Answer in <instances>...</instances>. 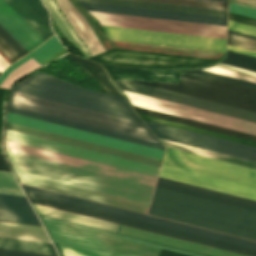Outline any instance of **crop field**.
Wrapping results in <instances>:
<instances>
[{
    "mask_svg": "<svg viewBox=\"0 0 256 256\" xmlns=\"http://www.w3.org/2000/svg\"><path fill=\"white\" fill-rule=\"evenodd\" d=\"M149 214L256 240V212L157 187Z\"/></svg>",
    "mask_w": 256,
    "mask_h": 256,
    "instance_id": "obj_1",
    "label": "crop field"
},
{
    "mask_svg": "<svg viewBox=\"0 0 256 256\" xmlns=\"http://www.w3.org/2000/svg\"><path fill=\"white\" fill-rule=\"evenodd\" d=\"M159 176L256 200L255 169L171 148Z\"/></svg>",
    "mask_w": 256,
    "mask_h": 256,
    "instance_id": "obj_2",
    "label": "crop field"
},
{
    "mask_svg": "<svg viewBox=\"0 0 256 256\" xmlns=\"http://www.w3.org/2000/svg\"><path fill=\"white\" fill-rule=\"evenodd\" d=\"M15 171L150 203L152 186L6 150Z\"/></svg>",
    "mask_w": 256,
    "mask_h": 256,
    "instance_id": "obj_3",
    "label": "crop field"
},
{
    "mask_svg": "<svg viewBox=\"0 0 256 256\" xmlns=\"http://www.w3.org/2000/svg\"><path fill=\"white\" fill-rule=\"evenodd\" d=\"M39 217L51 241L61 242L113 256H156L163 248L194 256H204L40 215ZM157 256L189 255L163 249Z\"/></svg>",
    "mask_w": 256,
    "mask_h": 256,
    "instance_id": "obj_4",
    "label": "crop field"
},
{
    "mask_svg": "<svg viewBox=\"0 0 256 256\" xmlns=\"http://www.w3.org/2000/svg\"><path fill=\"white\" fill-rule=\"evenodd\" d=\"M14 90L140 121L127 98L82 88L41 72Z\"/></svg>",
    "mask_w": 256,
    "mask_h": 256,
    "instance_id": "obj_5",
    "label": "crop field"
},
{
    "mask_svg": "<svg viewBox=\"0 0 256 256\" xmlns=\"http://www.w3.org/2000/svg\"><path fill=\"white\" fill-rule=\"evenodd\" d=\"M8 105L158 142L143 123L12 91ZM159 143V142H158Z\"/></svg>",
    "mask_w": 256,
    "mask_h": 256,
    "instance_id": "obj_6",
    "label": "crop field"
},
{
    "mask_svg": "<svg viewBox=\"0 0 256 256\" xmlns=\"http://www.w3.org/2000/svg\"><path fill=\"white\" fill-rule=\"evenodd\" d=\"M176 71L189 73L181 70ZM202 77L204 78L182 74L179 85L148 81L135 82L256 111V89L205 76Z\"/></svg>",
    "mask_w": 256,
    "mask_h": 256,
    "instance_id": "obj_7",
    "label": "crop field"
},
{
    "mask_svg": "<svg viewBox=\"0 0 256 256\" xmlns=\"http://www.w3.org/2000/svg\"><path fill=\"white\" fill-rule=\"evenodd\" d=\"M25 193H27V192H25ZM28 194H31V193H28ZM28 194H27V196H28L30 202H35V203H39V204H43V205H47V206H51V207H55V208H59V209L79 213V214H83V215H87V216H91V217H95V218H99V219H103V220H107V221H111V222L131 226V227H135V228H139V229H143V230H147V231H151V232H155V233H159V234H163V235H167V236H171V237H175V238H179V239H183V240H187V241H191V242H195V243H199V244H203V245H207V246H211V247H216V248H220V249H224V250H228V251H232V252H236V253H240V254H244V255H248V256H256V251H255L256 248H252V247H248V246H244V245H239V244H235V243H231V242H227V241H223V240H219V239H215V238H211V237H207V236H203V235H199V234H194V233H190V232H186V231H182V230H178V229H174V228L154 224V225H158V226H162V227H166V228H170V229H174V230H178V231H182V232H186V233H190V234H194V235H198V236H202V237H206V238H210V239H214V240H219V241H223V242H227V243H231V244H235V245L255 249V250H251V249H247V248H243V247H239V246H235V245H231V244H227V243H223V242H219V241H214V240H210V239H206V238H202V237H198V236H194V235H190V234H186V233H182V232H178V231H174V230H170V229H166V228H162V227H158V226L149 225V224H153V223H149V222H145V221H141V220H137V219H133V218H129V217L109 213V214L129 218V219L149 223V224H145V223H141V222H137V221H133V220H129V219H125V218L105 214V213H108V212L101 213V212H104V211H101V212H97V211H100V210L93 211V210H96V209L88 210V209H92V208H88V207L68 203V204L88 208V209H84V208L64 204V203H67V202L60 203V202H63V201L56 202V201H59V200L52 201V200H55V199L48 200V199H51V198L44 199V198H47V197L40 198V197H43V196L36 197V196H39V195L32 196V195H35V194H32V195H28Z\"/></svg>",
    "mask_w": 256,
    "mask_h": 256,
    "instance_id": "obj_8",
    "label": "crop field"
},
{
    "mask_svg": "<svg viewBox=\"0 0 256 256\" xmlns=\"http://www.w3.org/2000/svg\"><path fill=\"white\" fill-rule=\"evenodd\" d=\"M111 40L225 53L226 39L102 25Z\"/></svg>",
    "mask_w": 256,
    "mask_h": 256,
    "instance_id": "obj_9",
    "label": "crop field"
},
{
    "mask_svg": "<svg viewBox=\"0 0 256 256\" xmlns=\"http://www.w3.org/2000/svg\"><path fill=\"white\" fill-rule=\"evenodd\" d=\"M34 205L38 213L40 214L76 222V223H80V224H84V225H88V226H92V227H96V228H100L108 231H112V228H113L114 233H116L117 231L119 233L131 235V236H135V237H139V238H143V239H147V240H151V241H155V242H159V243H163V244H167V245H171V246H175V247H179L187 250H192V251H196V252H200V253H204L212 256H243V255H239V254H235V253H231V252H227V251H223V250H219V249H215V248H211V247H207V246H203V245H199V244H195V243H191V242H187V241H183V240H179V239H175V238H171V237H167V236H163L155 233H150V232H146V231H142V230H138V229L113 223L116 229L115 231L113 224L111 223V226H112L111 228L110 223L106 221L89 218V217H85V216H81V215H77V214H73V213H69V212H65V211H61V210H57V209H53V208H49V207H45L37 204H34Z\"/></svg>",
    "mask_w": 256,
    "mask_h": 256,
    "instance_id": "obj_10",
    "label": "crop field"
},
{
    "mask_svg": "<svg viewBox=\"0 0 256 256\" xmlns=\"http://www.w3.org/2000/svg\"><path fill=\"white\" fill-rule=\"evenodd\" d=\"M88 59L113 65L153 68L198 67L215 61L213 59L128 50L120 48H114L108 52L95 55Z\"/></svg>",
    "mask_w": 256,
    "mask_h": 256,
    "instance_id": "obj_11",
    "label": "crop field"
},
{
    "mask_svg": "<svg viewBox=\"0 0 256 256\" xmlns=\"http://www.w3.org/2000/svg\"><path fill=\"white\" fill-rule=\"evenodd\" d=\"M144 122L149 126V128L154 132L157 137L256 161V147L148 120H144Z\"/></svg>",
    "mask_w": 256,
    "mask_h": 256,
    "instance_id": "obj_12",
    "label": "crop field"
},
{
    "mask_svg": "<svg viewBox=\"0 0 256 256\" xmlns=\"http://www.w3.org/2000/svg\"><path fill=\"white\" fill-rule=\"evenodd\" d=\"M124 91V90H123ZM131 104L256 135V123L236 119L128 91Z\"/></svg>",
    "mask_w": 256,
    "mask_h": 256,
    "instance_id": "obj_13",
    "label": "crop field"
},
{
    "mask_svg": "<svg viewBox=\"0 0 256 256\" xmlns=\"http://www.w3.org/2000/svg\"><path fill=\"white\" fill-rule=\"evenodd\" d=\"M101 24L226 38V27L90 11Z\"/></svg>",
    "mask_w": 256,
    "mask_h": 256,
    "instance_id": "obj_14",
    "label": "crop field"
},
{
    "mask_svg": "<svg viewBox=\"0 0 256 256\" xmlns=\"http://www.w3.org/2000/svg\"><path fill=\"white\" fill-rule=\"evenodd\" d=\"M5 139L155 176L159 168L6 130Z\"/></svg>",
    "mask_w": 256,
    "mask_h": 256,
    "instance_id": "obj_15",
    "label": "crop field"
},
{
    "mask_svg": "<svg viewBox=\"0 0 256 256\" xmlns=\"http://www.w3.org/2000/svg\"><path fill=\"white\" fill-rule=\"evenodd\" d=\"M7 121L90 141V142H94V143H98V144H102V145H106V146H111V147L131 151V152H135V153H139V154H143V155H147V156H151L159 159L162 158V155L164 152L162 150H158V149H154V148H150V147H146V146H142V145H138V144H134V143H130V142L70 128V127H66V126H62V125L14 114V113H10V112H8Z\"/></svg>",
    "mask_w": 256,
    "mask_h": 256,
    "instance_id": "obj_16",
    "label": "crop field"
},
{
    "mask_svg": "<svg viewBox=\"0 0 256 256\" xmlns=\"http://www.w3.org/2000/svg\"><path fill=\"white\" fill-rule=\"evenodd\" d=\"M121 89L256 122V112L170 92L130 81L115 82Z\"/></svg>",
    "mask_w": 256,
    "mask_h": 256,
    "instance_id": "obj_17",
    "label": "crop field"
},
{
    "mask_svg": "<svg viewBox=\"0 0 256 256\" xmlns=\"http://www.w3.org/2000/svg\"><path fill=\"white\" fill-rule=\"evenodd\" d=\"M5 146H6V149L8 150L100 172V173L132 180V181H136V182H140V183H144L152 186L155 185V182L157 179L155 177H151V176H147V175H143V174H139V173H135V172H131V171L83 160V159L39 149V148H35V147L23 145V144L11 142V141H7V140H5Z\"/></svg>",
    "mask_w": 256,
    "mask_h": 256,
    "instance_id": "obj_18",
    "label": "crop field"
},
{
    "mask_svg": "<svg viewBox=\"0 0 256 256\" xmlns=\"http://www.w3.org/2000/svg\"><path fill=\"white\" fill-rule=\"evenodd\" d=\"M22 187L24 191H27V192H31V193H35V194L63 200V201H68V202H72V203H76V204H80V205H84V206H88V207H92V208H96V209H100L108 212H113V213L129 216V217L149 221V222H154V223H158V224H162V225H166V226H170V227H174V228H178V229H182V230H186L194 233H199V234H203V235H207V236H211V237H215V238H219V239H223V240H227L235 243L256 247V242H252V241H248V240H244L236 237H231V236H227V235H223V234H219V233H215V232H211V231H207V230H203V229H199V228H195V227H191L183 224H178V223H174V222H170V221H166V220H162V219H158V218H154V217H150V216H146V215H142V214H138L130 211H125V210H121V209H117V208H113V207H109V206H105V205H101V204H97V203H93V202H89V201H85L77 198H72V197H68V196H64V195H60V194H56V193H52V192L24 186V185H22Z\"/></svg>",
    "mask_w": 256,
    "mask_h": 256,
    "instance_id": "obj_19",
    "label": "crop field"
},
{
    "mask_svg": "<svg viewBox=\"0 0 256 256\" xmlns=\"http://www.w3.org/2000/svg\"><path fill=\"white\" fill-rule=\"evenodd\" d=\"M88 10L226 26L227 18L81 2Z\"/></svg>",
    "mask_w": 256,
    "mask_h": 256,
    "instance_id": "obj_20",
    "label": "crop field"
},
{
    "mask_svg": "<svg viewBox=\"0 0 256 256\" xmlns=\"http://www.w3.org/2000/svg\"><path fill=\"white\" fill-rule=\"evenodd\" d=\"M6 129L60 142V143H64V144H68V145H72V146H77V147L109 154V155H113V156H117V157H121V158H125V159H129V160H133V161H137V162H141V163H146V164H150L158 167L161 161L159 159H155V158H151V157H147V156H143V155H139V154H135V153H131V152H127V151H123V150H119L111 147H106V146H102V145H98V144H94V143H90V142H86V141H82V140H78V139H74V138H70L62 135H57V134L9 123V122H7Z\"/></svg>",
    "mask_w": 256,
    "mask_h": 256,
    "instance_id": "obj_21",
    "label": "crop field"
},
{
    "mask_svg": "<svg viewBox=\"0 0 256 256\" xmlns=\"http://www.w3.org/2000/svg\"><path fill=\"white\" fill-rule=\"evenodd\" d=\"M17 174L21 182H24V183L72 194V195H76V196H80V197H84V198H88V199H92V200H96V201H100V202H104V203H108V204H112V205H116V206H120L128 209L144 212V213H147L148 211L149 205L147 204H143V203H139V202H135V201H131V200H127V199H123V198H119V197H115V196H111V195H107V194H103V193H99V192H95L87 189H82V188L18 173V172Z\"/></svg>",
    "mask_w": 256,
    "mask_h": 256,
    "instance_id": "obj_22",
    "label": "crop field"
},
{
    "mask_svg": "<svg viewBox=\"0 0 256 256\" xmlns=\"http://www.w3.org/2000/svg\"><path fill=\"white\" fill-rule=\"evenodd\" d=\"M0 25L28 52L45 41L4 0H0Z\"/></svg>",
    "mask_w": 256,
    "mask_h": 256,
    "instance_id": "obj_23",
    "label": "crop field"
},
{
    "mask_svg": "<svg viewBox=\"0 0 256 256\" xmlns=\"http://www.w3.org/2000/svg\"><path fill=\"white\" fill-rule=\"evenodd\" d=\"M158 187L256 211V201L159 177Z\"/></svg>",
    "mask_w": 256,
    "mask_h": 256,
    "instance_id": "obj_24",
    "label": "crop field"
},
{
    "mask_svg": "<svg viewBox=\"0 0 256 256\" xmlns=\"http://www.w3.org/2000/svg\"><path fill=\"white\" fill-rule=\"evenodd\" d=\"M45 40L53 35L48 11L41 0H5Z\"/></svg>",
    "mask_w": 256,
    "mask_h": 256,
    "instance_id": "obj_25",
    "label": "crop field"
},
{
    "mask_svg": "<svg viewBox=\"0 0 256 256\" xmlns=\"http://www.w3.org/2000/svg\"><path fill=\"white\" fill-rule=\"evenodd\" d=\"M0 220L40 225L26 197L0 194Z\"/></svg>",
    "mask_w": 256,
    "mask_h": 256,
    "instance_id": "obj_26",
    "label": "crop field"
},
{
    "mask_svg": "<svg viewBox=\"0 0 256 256\" xmlns=\"http://www.w3.org/2000/svg\"><path fill=\"white\" fill-rule=\"evenodd\" d=\"M74 30L86 44L92 55L104 51L90 25L69 0H55Z\"/></svg>",
    "mask_w": 256,
    "mask_h": 256,
    "instance_id": "obj_27",
    "label": "crop field"
},
{
    "mask_svg": "<svg viewBox=\"0 0 256 256\" xmlns=\"http://www.w3.org/2000/svg\"><path fill=\"white\" fill-rule=\"evenodd\" d=\"M102 65L105 67L113 81L124 79H146L151 81H162L178 84L181 75L165 71H152L146 69L125 68L104 64Z\"/></svg>",
    "mask_w": 256,
    "mask_h": 256,
    "instance_id": "obj_28",
    "label": "crop field"
},
{
    "mask_svg": "<svg viewBox=\"0 0 256 256\" xmlns=\"http://www.w3.org/2000/svg\"><path fill=\"white\" fill-rule=\"evenodd\" d=\"M8 111L62 124V125H66V126H70V127H74V128H78V129H82V130H86V131H90V132H94V133H98V134H102V135H106V136H110V137H114V138H118V139H122V140H126V141H130V142H134V143H138V144H142V145H146V146H150V147H154V148H158V149H162V150L165 149L161 144H158V143H154V142H150V141H146V140H142V139H138V138H134V137H130V136L70 122V121H66V120H62V119L14 108V107H10V106H8Z\"/></svg>",
    "mask_w": 256,
    "mask_h": 256,
    "instance_id": "obj_29",
    "label": "crop field"
},
{
    "mask_svg": "<svg viewBox=\"0 0 256 256\" xmlns=\"http://www.w3.org/2000/svg\"><path fill=\"white\" fill-rule=\"evenodd\" d=\"M81 1H90V2H99V3H108V4H116V5H125V6H134V7H143V8H152V9H161V10H170V11H179V12L227 17V11H223V10L153 3V2L136 1V0H81Z\"/></svg>",
    "mask_w": 256,
    "mask_h": 256,
    "instance_id": "obj_30",
    "label": "crop field"
},
{
    "mask_svg": "<svg viewBox=\"0 0 256 256\" xmlns=\"http://www.w3.org/2000/svg\"><path fill=\"white\" fill-rule=\"evenodd\" d=\"M133 107H134L135 111L138 113H142V114H146V115H150V116H154V117H158V118H162V119H166V120H170V121L206 129V130H211V131H215V132H219V133H223V134H227V135H231V136H235V137H239V138H243V139H247V140L256 142L255 135L242 133V132H238V131H234V130H230V129H226V128H222V127H218V126H214V125H210V124H206V123H202V122H198V121H194V120H190V119H186V118H182V117H178V116H174V115H170V114L134 106V105H133Z\"/></svg>",
    "mask_w": 256,
    "mask_h": 256,
    "instance_id": "obj_31",
    "label": "crop field"
},
{
    "mask_svg": "<svg viewBox=\"0 0 256 256\" xmlns=\"http://www.w3.org/2000/svg\"><path fill=\"white\" fill-rule=\"evenodd\" d=\"M0 236L50 243L43 228L0 222Z\"/></svg>",
    "mask_w": 256,
    "mask_h": 256,
    "instance_id": "obj_32",
    "label": "crop field"
},
{
    "mask_svg": "<svg viewBox=\"0 0 256 256\" xmlns=\"http://www.w3.org/2000/svg\"><path fill=\"white\" fill-rule=\"evenodd\" d=\"M65 57L70 59L77 66L90 74L107 93L122 95V93L111 82V80L108 78L105 71L99 64L75 57L70 54L65 55Z\"/></svg>",
    "mask_w": 256,
    "mask_h": 256,
    "instance_id": "obj_33",
    "label": "crop field"
},
{
    "mask_svg": "<svg viewBox=\"0 0 256 256\" xmlns=\"http://www.w3.org/2000/svg\"><path fill=\"white\" fill-rule=\"evenodd\" d=\"M160 141L163 143L164 146H167V147H171V148H175V149H179V150H183V151H187V152H191V153H195V154H199V155H203V156H207V157H211V158H215V159H219V160H223V161H227V162H231V163L256 169V162H252V161H248V160H244V159L164 140V139H160Z\"/></svg>",
    "mask_w": 256,
    "mask_h": 256,
    "instance_id": "obj_34",
    "label": "crop field"
},
{
    "mask_svg": "<svg viewBox=\"0 0 256 256\" xmlns=\"http://www.w3.org/2000/svg\"><path fill=\"white\" fill-rule=\"evenodd\" d=\"M46 4L47 8L53 15L54 19L62 29L63 33L67 37V39L85 56H91L90 52L75 34L73 29L70 27L64 16L59 11L58 7L56 6L54 0H43Z\"/></svg>",
    "mask_w": 256,
    "mask_h": 256,
    "instance_id": "obj_35",
    "label": "crop field"
},
{
    "mask_svg": "<svg viewBox=\"0 0 256 256\" xmlns=\"http://www.w3.org/2000/svg\"><path fill=\"white\" fill-rule=\"evenodd\" d=\"M61 48H63L62 45L59 43L55 36H52L49 40H47L44 44L35 49L33 52L16 61L9 68H7L0 76V83L13 69H15L17 66H19L21 63L28 60L29 58L32 57L38 62Z\"/></svg>",
    "mask_w": 256,
    "mask_h": 256,
    "instance_id": "obj_36",
    "label": "crop field"
},
{
    "mask_svg": "<svg viewBox=\"0 0 256 256\" xmlns=\"http://www.w3.org/2000/svg\"><path fill=\"white\" fill-rule=\"evenodd\" d=\"M0 248L57 255L52 244L0 237Z\"/></svg>",
    "mask_w": 256,
    "mask_h": 256,
    "instance_id": "obj_37",
    "label": "crop field"
},
{
    "mask_svg": "<svg viewBox=\"0 0 256 256\" xmlns=\"http://www.w3.org/2000/svg\"><path fill=\"white\" fill-rule=\"evenodd\" d=\"M0 170L11 171L3 154H0ZM0 193L24 196L13 173L0 171Z\"/></svg>",
    "mask_w": 256,
    "mask_h": 256,
    "instance_id": "obj_38",
    "label": "crop field"
},
{
    "mask_svg": "<svg viewBox=\"0 0 256 256\" xmlns=\"http://www.w3.org/2000/svg\"><path fill=\"white\" fill-rule=\"evenodd\" d=\"M202 70L256 83V72L218 63Z\"/></svg>",
    "mask_w": 256,
    "mask_h": 256,
    "instance_id": "obj_39",
    "label": "crop field"
},
{
    "mask_svg": "<svg viewBox=\"0 0 256 256\" xmlns=\"http://www.w3.org/2000/svg\"><path fill=\"white\" fill-rule=\"evenodd\" d=\"M221 63L256 71V57L227 50V57Z\"/></svg>",
    "mask_w": 256,
    "mask_h": 256,
    "instance_id": "obj_40",
    "label": "crop field"
},
{
    "mask_svg": "<svg viewBox=\"0 0 256 256\" xmlns=\"http://www.w3.org/2000/svg\"><path fill=\"white\" fill-rule=\"evenodd\" d=\"M138 115L144 119H148V120H152V121H156V122H160V123H164V124H168V125H172V126H176V127H180V128H184V129H188V130H192V131H196V132H200V133H204V134H208V135H212V136H216V137H220V138L256 146L255 142H251V141H247V140H243V139H239V138H235V137H231V136H227V135H223V134H219V133H215V132H211V131H206V130H202V129H198V128H194V127H190V126H186V125H182V124H178V123H174V122H170V121H166V120H162V119H158V118H154V117H150V116H146V115H142V114H138Z\"/></svg>",
    "mask_w": 256,
    "mask_h": 256,
    "instance_id": "obj_41",
    "label": "crop field"
},
{
    "mask_svg": "<svg viewBox=\"0 0 256 256\" xmlns=\"http://www.w3.org/2000/svg\"><path fill=\"white\" fill-rule=\"evenodd\" d=\"M40 67L32 58L21 64L15 70H13L9 76L2 82L1 87L9 88V86L19 77L28 73L29 71Z\"/></svg>",
    "mask_w": 256,
    "mask_h": 256,
    "instance_id": "obj_42",
    "label": "crop field"
},
{
    "mask_svg": "<svg viewBox=\"0 0 256 256\" xmlns=\"http://www.w3.org/2000/svg\"><path fill=\"white\" fill-rule=\"evenodd\" d=\"M145 1H153V2H162V3H171V4H180V5H188V6H197V7H206V8L227 10V4L214 3V2H205V1H196V0H145Z\"/></svg>",
    "mask_w": 256,
    "mask_h": 256,
    "instance_id": "obj_43",
    "label": "crop field"
},
{
    "mask_svg": "<svg viewBox=\"0 0 256 256\" xmlns=\"http://www.w3.org/2000/svg\"><path fill=\"white\" fill-rule=\"evenodd\" d=\"M54 246L56 247L59 256H107V255H103V254H99V253H95V252H91V251H87V250H82V249H78V248H74V247H70V246H66V245H61L63 252L59 246L58 243H54Z\"/></svg>",
    "mask_w": 256,
    "mask_h": 256,
    "instance_id": "obj_44",
    "label": "crop field"
},
{
    "mask_svg": "<svg viewBox=\"0 0 256 256\" xmlns=\"http://www.w3.org/2000/svg\"><path fill=\"white\" fill-rule=\"evenodd\" d=\"M228 44L256 51V40L228 33Z\"/></svg>",
    "mask_w": 256,
    "mask_h": 256,
    "instance_id": "obj_45",
    "label": "crop field"
},
{
    "mask_svg": "<svg viewBox=\"0 0 256 256\" xmlns=\"http://www.w3.org/2000/svg\"><path fill=\"white\" fill-rule=\"evenodd\" d=\"M189 72H193V73H197V74H201V75H205V76H209V77H213V78H217V79H221V80H225V81H229V82L256 88V84H254V83H250V82H246V81H242V80H238V79H234V78H230V77H226V76H222V75H218V74H214V73H210V72H206V71H202V70H194V71H189Z\"/></svg>",
    "mask_w": 256,
    "mask_h": 256,
    "instance_id": "obj_46",
    "label": "crop field"
},
{
    "mask_svg": "<svg viewBox=\"0 0 256 256\" xmlns=\"http://www.w3.org/2000/svg\"><path fill=\"white\" fill-rule=\"evenodd\" d=\"M228 29L256 36V27L229 20Z\"/></svg>",
    "mask_w": 256,
    "mask_h": 256,
    "instance_id": "obj_47",
    "label": "crop field"
},
{
    "mask_svg": "<svg viewBox=\"0 0 256 256\" xmlns=\"http://www.w3.org/2000/svg\"><path fill=\"white\" fill-rule=\"evenodd\" d=\"M0 36L10 44L21 56L28 53L12 36L0 26Z\"/></svg>",
    "mask_w": 256,
    "mask_h": 256,
    "instance_id": "obj_48",
    "label": "crop field"
},
{
    "mask_svg": "<svg viewBox=\"0 0 256 256\" xmlns=\"http://www.w3.org/2000/svg\"><path fill=\"white\" fill-rule=\"evenodd\" d=\"M229 11L256 18V10L255 9H251V8H247V7L229 3Z\"/></svg>",
    "mask_w": 256,
    "mask_h": 256,
    "instance_id": "obj_49",
    "label": "crop field"
},
{
    "mask_svg": "<svg viewBox=\"0 0 256 256\" xmlns=\"http://www.w3.org/2000/svg\"><path fill=\"white\" fill-rule=\"evenodd\" d=\"M0 256H54V255L0 249Z\"/></svg>",
    "mask_w": 256,
    "mask_h": 256,
    "instance_id": "obj_50",
    "label": "crop field"
},
{
    "mask_svg": "<svg viewBox=\"0 0 256 256\" xmlns=\"http://www.w3.org/2000/svg\"><path fill=\"white\" fill-rule=\"evenodd\" d=\"M0 49L12 60L21 57L10 45L0 37ZM16 61V60H15Z\"/></svg>",
    "mask_w": 256,
    "mask_h": 256,
    "instance_id": "obj_51",
    "label": "crop field"
},
{
    "mask_svg": "<svg viewBox=\"0 0 256 256\" xmlns=\"http://www.w3.org/2000/svg\"><path fill=\"white\" fill-rule=\"evenodd\" d=\"M229 19L256 26V19L255 18H251V17H247V16H243V15H239V14L229 12Z\"/></svg>",
    "mask_w": 256,
    "mask_h": 256,
    "instance_id": "obj_52",
    "label": "crop field"
},
{
    "mask_svg": "<svg viewBox=\"0 0 256 256\" xmlns=\"http://www.w3.org/2000/svg\"><path fill=\"white\" fill-rule=\"evenodd\" d=\"M6 92L7 90L0 89V137H1L2 122H3V106H4V99H5ZM0 152H2L1 143H0Z\"/></svg>",
    "mask_w": 256,
    "mask_h": 256,
    "instance_id": "obj_53",
    "label": "crop field"
},
{
    "mask_svg": "<svg viewBox=\"0 0 256 256\" xmlns=\"http://www.w3.org/2000/svg\"><path fill=\"white\" fill-rule=\"evenodd\" d=\"M65 53H67V51L63 48V49L57 51L56 53L52 54L51 56L45 58L44 60H42V61H40L38 63L42 66V65H44V64H46V63H48V62H50V61L60 57V56H62Z\"/></svg>",
    "mask_w": 256,
    "mask_h": 256,
    "instance_id": "obj_54",
    "label": "crop field"
},
{
    "mask_svg": "<svg viewBox=\"0 0 256 256\" xmlns=\"http://www.w3.org/2000/svg\"><path fill=\"white\" fill-rule=\"evenodd\" d=\"M229 2L256 9V0H229Z\"/></svg>",
    "mask_w": 256,
    "mask_h": 256,
    "instance_id": "obj_55",
    "label": "crop field"
},
{
    "mask_svg": "<svg viewBox=\"0 0 256 256\" xmlns=\"http://www.w3.org/2000/svg\"><path fill=\"white\" fill-rule=\"evenodd\" d=\"M227 49L236 51V52H240V53H244V54H248V55H252V56H256V52H254V51H250V50H246V49H242V48H238V47H234V46H230V45H228Z\"/></svg>",
    "mask_w": 256,
    "mask_h": 256,
    "instance_id": "obj_56",
    "label": "crop field"
},
{
    "mask_svg": "<svg viewBox=\"0 0 256 256\" xmlns=\"http://www.w3.org/2000/svg\"><path fill=\"white\" fill-rule=\"evenodd\" d=\"M9 65L10 64L3 57L0 56V72L2 73V71Z\"/></svg>",
    "mask_w": 256,
    "mask_h": 256,
    "instance_id": "obj_57",
    "label": "crop field"
},
{
    "mask_svg": "<svg viewBox=\"0 0 256 256\" xmlns=\"http://www.w3.org/2000/svg\"><path fill=\"white\" fill-rule=\"evenodd\" d=\"M228 32L256 39V37H254V36H250V35L234 32V31H230V30H228Z\"/></svg>",
    "mask_w": 256,
    "mask_h": 256,
    "instance_id": "obj_58",
    "label": "crop field"
},
{
    "mask_svg": "<svg viewBox=\"0 0 256 256\" xmlns=\"http://www.w3.org/2000/svg\"><path fill=\"white\" fill-rule=\"evenodd\" d=\"M205 1H214V2H223V3H227V0H205Z\"/></svg>",
    "mask_w": 256,
    "mask_h": 256,
    "instance_id": "obj_59",
    "label": "crop field"
},
{
    "mask_svg": "<svg viewBox=\"0 0 256 256\" xmlns=\"http://www.w3.org/2000/svg\"><path fill=\"white\" fill-rule=\"evenodd\" d=\"M1 74V73H0Z\"/></svg>",
    "mask_w": 256,
    "mask_h": 256,
    "instance_id": "obj_60",
    "label": "crop field"
}]
</instances>
